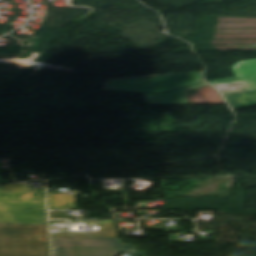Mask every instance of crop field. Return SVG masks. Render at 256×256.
Here are the masks:
<instances>
[{
  "label": "crop field",
  "instance_id": "obj_1",
  "mask_svg": "<svg viewBox=\"0 0 256 256\" xmlns=\"http://www.w3.org/2000/svg\"><path fill=\"white\" fill-rule=\"evenodd\" d=\"M0 222H46L44 190L22 183L0 185Z\"/></svg>",
  "mask_w": 256,
  "mask_h": 256
},
{
  "label": "crop field",
  "instance_id": "obj_2",
  "mask_svg": "<svg viewBox=\"0 0 256 256\" xmlns=\"http://www.w3.org/2000/svg\"><path fill=\"white\" fill-rule=\"evenodd\" d=\"M0 256H49L47 224L0 223Z\"/></svg>",
  "mask_w": 256,
  "mask_h": 256
},
{
  "label": "crop field",
  "instance_id": "obj_3",
  "mask_svg": "<svg viewBox=\"0 0 256 256\" xmlns=\"http://www.w3.org/2000/svg\"><path fill=\"white\" fill-rule=\"evenodd\" d=\"M53 256H115L119 251L146 256L119 238H52Z\"/></svg>",
  "mask_w": 256,
  "mask_h": 256
},
{
  "label": "crop field",
  "instance_id": "obj_4",
  "mask_svg": "<svg viewBox=\"0 0 256 256\" xmlns=\"http://www.w3.org/2000/svg\"><path fill=\"white\" fill-rule=\"evenodd\" d=\"M198 82L201 73L110 81L107 89L163 93Z\"/></svg>",
  "mask_w": 256,
  "mask_h": 256
},
{
  "label": "crop field",
  "instance_id": "obj_5",
  "mask_svg": "<svg viewBox=\"0 0 256 256\" xmlns=\"http://www.w3.org/2000/svg\"><path fill=\"white\" fill-rule=\"evenodd\" d=\"M232 68L236 74V77L217 79L209 81V83H211L212 85H217L245 81L249 85L251 90H256V59L239 61Z\"/></svg>",
  "mask_w": 256,
  "mask_h": 256
},
{
  "label": "crop field",
  "instance_id": "obj_6",
  "mask_svg": "<svg viewBox=\"0 0 256 256\" xmlns=\"http://www.w3.org/2000/svg\"><path fill=\"white\" fill-rule=\"evenodd\" d=\"M207 85V83L180 89L166 94L146 93L148 104H188L187 90Z\"/></svg>",
  "mask_w": 256,
  "mask_h": 256
},
{
  "label": "crop field",
  "instance_id": "obj_7",
  "mask_svg": "<svg viewBox=\"0 0 256 256\" xmlns=\"http://www.w3.org/2000/svg\"><path fill=\"white\" fill-rule=\"evenodd\" d=\"M224 96L232 108L256 105V91L227 94Z\"/></svg>",
  "mask_w": 256,
  "mask_h": 256
},
{
  "label": "crop field",
  "instance_id": "obj_8",
  "mask_svg": "<svg viewBox=\"0 0 256 256\" xmlns=\"http://www.w3.org/2000/svg\"><path fill=\"white\" fill-rule=\"evenodd\" d=\"M75 198L66 194L49 195V209H76Z\"/></svg>",
  "mask_w": 256,
  "mask_h": 256
},
{
  "label": "crop field",
  "instance_id": "obj_9",
  "mask_svg": "<svg viewBox=\"0 0 256 256\" xmlns=\"http://www.w3.org/2000/svg\"><path fill=\"white\" fill-rule=\"evenodd\" d=\"M2 172V170L0 169V173ZM6 182H11L10 180L7 181H2L1 177H0V183H6Z\"/></svg>",
  "mask_w": 256,
  "mask_h": 256
}]
</instances>
